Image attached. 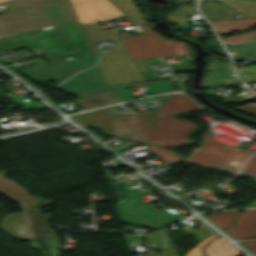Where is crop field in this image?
I'll return each instance as SVG.
<instances>
[{
	"label": "crop field",
	"instance_id": "crop-field-33",
	"mask_svg": "<svg viewBox=\"0 0 256 256\" xmlns=\"http://www.w3.org/2000/svg\"><path fill=\"white\" fill-rule=\"evenodd\" d=\"M174 73L182 71H193L192 65L172 67Z\"/></svg>",
	"mask_w": 256,
	"mask_h": 256
},
{
	"label": "crop field",
	"instance_id": "crop-field-1",
	"mask_svg": "<svg viewBox=\"0 0 256 256\" xmlns=\"http://www.w3.org/2000/svg\"><path fill=\"white\" fill-rule=\"evenodd\" d=\"M199 107L194 101L185 95L173 94L163 105L154 111L157 115L155 126L150 134L148 143L149 149L159 156L165 165L184 161L186 163L213 168L236 174L243 162L253 154V152L241 150L235 146H229L218 141L206 133L202 136V147L196 148L186 159L172 151L155 146H174L189 144L185 141V135L195 128V125L183 120L171 117L172 114H180L183 111H191L190 108Z\"/></svg>",
	"mask_w": 256,
	"mask_h": 256
},
{
	"label": "crop field",
	"instance_id": "crop-field-28",
	"mask_svg": "<svg viewBox=\"0 0 256 256\" xmlns=\"http://www.w3.org/2000/svg\"><path fill=\"white\" fill-rule=\"evenodd\" d=\"M233 109L256 116V102L255 103H247L245 105L237 106V107H234Z\"/></svg>",
	"mask_w": 256,
	"mask_h": 256
},
{
	"label": "crop field",
	"instance_id": "crop-field-8",
	"mask_svg": "<svg viewBox=\"0 0 256 256\" xmlns=\"http://www.w3.org/2000/svg\"><path fill=\"white\" fill-rule=\"evenodd\" d=\"M120 221L157 228L171 221L181 219L167 210L158 212L152 204L138 205L127 198H123L116 205Z\"/></svg>",
	"mask_w": 256,
	"mask_h": 256
},
{
	"label": "crop field",
	"instance_id": "crop-field-34",
	"mask_svg": "<svg viewBox=\"0 0 256 256\" xmlns=\"http://www.w3.org/2000/svg\"><path fill=\"white\" fill-rule=\"evenodd\" d=\"M207 25V23H203V24H196L193 25V27H197V26H205ZM175 31H180V30H188L190 29V27L188 25H182V26H176L174 27Z\"/></svg>",
	"mask_w": 256,
	"mask_h": 256
},
{
	"label": "crop field",
	"instance_id": "crop-field-11",
	"mask_svg": "<svg viewBox=\"0 0 256 256\" xmlns=\"http://www.w3.org/2000/svg\"><path fill=\"white\" fill-rule=\"evenodd\" d=\"M60 88L77 98L116 90V88L104 82L96 66L73 76L70 80L62 83Z\"/></svg>",
	"mask_w": 256,
	"mask_h": 256
},
{
	"label": "crop field",
	"instance_id": "crop-field-36",
	"mask_svg": "<svg viewBox=\"0 0 256 256\" xmlns=\"http://www.w3.org/2000/svg\"><path fill=\"white\" fill-rule=\"evenodd\" d=\"M208 47H218L220 44L218 43L217 39H210L206 41Z\"/></svg>",
	"mask_w": 256,
	"mask_h": 256
},
{
	"label": "crop field",
	"instance_id": "crop-field-14",
	"mask_svg": "<svg viewBox=\"0 0 256 256\" xmlns=\"http://www.w3.org/2000/svg\"><path fill=\"white\" fill-rule=\"evenodd\" d=\"M207 79L202 83V88H217L241 83L232 72L229 62L209 63Z\"/></svg>",
	"mask_w": 256,
	"mask_h": 256
},
{
	"label": "crop field",
	"instance_id": "crop-field-31",
	"mask_svg": "<svg viewBox=\"0 0 256 256\" xmlns=\"http://www.w3.org/2000/svg\"><path fill=\"white\" fill-rule=\"evenodd\" d=\"M246 83L256 81V73L239 75Z\"/></svg>",
	"mask_w": 256,
	"mask_h": 256
},
{
	"label": "crop field",
	"instance_id": "crop-field-13",
	"mask_svg": "<svg viewBox=\"0 0 256 256\" xmlns=\"http://www.w3.org/2000/svg\"><path fill=\"white\" fill-rule=\"evenodd\" d=\"M237 212L209 216L211 221L217 224L222 229L232 225L231 218L236 215ZM236 225L226 229L236 240L256 238V209L246 210L238 217L234 218Z\"/></svg>",
	"mask_w": 256,
	"mask_h": 256
},
{
	"label": "crop field",
	"instance_id": "crop-field-17",
	"mask_svg": "<svg viewBox=\"0 0 256 256\" xmlns=\"http://www.w3.org/2000/svg\"><path fill=\"white\" fill-rule=\"evenodd\" d=\"M200 8L210 21L231 20L235 15L234 9L218 2L200 1Z\"/></svg>",
	"mask_w": 256,
	"mask_h": 256
},
{
	"label": "crop field",
	"instance_id": "crop-field-4",
	"mask_svg": "<svg viewBox=\"0 0 256 256\" xmlns=\"http://www.w3.org/2000/svg\"><path fill=\"white\" fill-rule=\"evenodd\" d=\"M5 173L0 170V193L10 197L17 203H21L24 213L7 214L1 220L2 230L19 240L37 239L30 227L32 222L26 211L40 198L28 195L25 188L3 178ZM53 202L43 199L28 211L35 222V225L32 226L39 239L57 237L56 233L49 228L48 222L52 214H41L38 210L39 207L51 205Z\"/></svg>",
	"mask_w": 256,
	"mask_h": 256
},
{
	"label": "crop field",
	"instance_id": "crop-field-5",
	"mask_svg": "<svg viewBox=\"0 0 256 256\" xmlns=\"http://www.w3.org/2000/svg\"><path fill=\"white\" fill-rule=\"evenodd\" d=\"M85 127L100 128L105 134L146 144L155 122L154 111L114 119L106 108L73 115Z\"/></svg>",
	"mask_w": 256,
	"mask_h": 256
},
{
	"label": "crop field",
	"instance_id": "crop-field-6",
	"mask_svg": "<svg viewBox=\"0 0 256 256\" xmlns=\"http://www.w3.org/2000/svg\"><path fill=\"white\" fill-rule=\"evenodd\" d=\"M141 27L146 34L121 36L131 60L191 54L187 44L175 40L165 41L146 25Z\"/></svg>",
	"mask_w": 256,
	"mask_h": 256
},
{
	"label": "crop field",
	"instance_id": "crop-field-25",
	"mask_svg": "<svg viewBox=\"0 0 256 256\" xmlns=\"http://www.w3.org/2000/svg\"><path fill=\"white\" fill-rule=\"evenodd\" d=\"M124 236L126 239L129 252L139 253L137 250H135V246L142 245L143 235L134 234V235H124Z\"/></svg>",
	"mask_w": 256,
	"mask_h": 256
},
{
	"label": "crop field",
	"instance_id": "crop-field-37",
	"mask_svg": "<svg viewBox=\"0 0 256 256\" xmlns=\"http://www.w3.org/2000/svg\"><path fill=\"white\" fill-rule=\"evenodd\" d=\"M214 50V52H217V53H220V54H222V55H225V56H227L226 54H225V52L222 50V48H215V49H213Z\"/></svg>",
	"mask_w": 256,
	"mask_h": 256
},
{
	"label": "crop field",
	"instance_id": "crop-field-30",
	"mask_svg": "<svg viewBox=\"0 0 256 256\" xmlns=\"http://www.w3.org/2000/svg\"><path fill=\"white\" fill-rule=\"evenodd\" d=\"M192 15H184V16H176V17H168V18H165V20L168 22V23H171V24H177V25H182V24H187L185 18L186 17H192Z\"/></svg>",
	"mask_w": 256,
	"mask_h": 256
},
{
	"label": "crop field",
	"instance_id": "crop-field-22",
	"mask_svg": "<svg viewBox=\"0 0 256 256\" xmlns=\"http://www.w3.org/2000/svg\"><path fill=\"white\" fill-rule=\"evenodd\" d=\"M40 242L42 243L47 256H60L58 250L61 245L57 238L43 239L40 240ZM29 243L31 248L39 250L41 254L45 256L37 240L29 241Z\"/></svg>",
	"mask_w": 256,
	"mask_h": 256
},
{
	"label": "crop field",
	"instance_id": "crop-field-10",
	"mask_svg": "<svg viewBox=\"0 0 256 256\" xmlns=\"http://www.w3.org/2000/svg\"><path fill=\"white\" fill-rule=\"evenodd\" d=\"M95 64L93 55H87L72 60L49 64L46 66L21 71L37 83H44L55 79L58 83L66 79L74 72Z\"/></svg>",
	"mask_w": 256,
	"mask_h": 256
},
{
	"label": "crop field",
	"instance_id": "crop-field-20",
	"mask_svg": "<svg viewBox=\"0 0 256 256\" xmlns=\"http://www.w3.org/2000/svg\"><path fill=\"white\" fill-rule=\"evenodd\" d=\"M240 13L242 18L256 17V0H218Z\"/></svg>",
	"mask_w": 256,
	"mask_h": 256
},
{
	"label": "crop field",
	"instance_id": "crop-field-2",
	"mask_svg": "<svg viewBox=\"0 0 256 256\" xmlns=\"http://www.w3.org/2000/svg\"><path fill=\"white\" fill-rule=\"evenodd\" d=\"M21 47L39 48L54 63L92 53L78 21L0 39L1 49Z\"/></svg>",
	"mask_w": 256,
	"mask_h": 256
},
{
	"label": "crop field",
	"instance_id": "crop-field-35",
	"mask_svg": "<svg viewBox=\"0 0 256 256\" xmlns=\"http://www.w3.org/2000/svg\"><path fill=\"white\" fill-rule=\"evenodd\" d=\"M234 61H248V60H256V56H248V57H233Z\"/></svg>",
	"mask_w": 256,
	"mask_h": 256
},
{
	"label": "crop field",
	"instance_id": "crop-field-9",
	"mask_svg": "<svg viewBox=\"0 0 256 256\" xmlns=\"http://www.w3.org/2000/svg\"><path fill=\"white\" fill-rule=\"evenodd\" d=\"M141 85H144L148 89V91L151 93V95L173 91L172 79L146 82V83L113 85L117 87L119 90L73 100V102L83 110L100 107L104 105H109L113 103L123 102V101L133 99V97H131L124 88L141 86Z\"/></svg>",
	"mask_w": 256,
	"mask_h": 256
},
{
	"label": "crop field",
	"instance_id": "crop-field-3",
	"mask_svg": "<svg viewBox=\"0 0 256 256\" xmlns=\"http://www.w3.org/2000/svg\"><path fill=\"white\" fill-rule=\"evenodd\" d=\"M0 15V38L76 21L69 0H13Z\"/></svg>",
	"mask_w": 256,
	"mask_h": 256
},
{
	"label": "crop field",
	"instance_id": "crop-field-29",
	"mask_svg": "<svg viewBox=\"0 0 256 256\" xmlns=\"http://www.w3.org/2000/svg\"><path fill=\"white\" fill-rule=\"evenodd\" d=\"M196 13L192 5H182L180 8L164 17Z\"/></svg>",
	"mask_w": 256,
	"mask_h": 256
},
{
	"label": "crop field",
	"instance_id": "crop-field-32",
	"mask_svg": "<svg viewBox=\"0 0 256 256\" xmlns=\"http://www.w3.org/2000/svg\"><path fill=\"white\" fill-rule=\"evenodd\" d=\"M243 243L247 248H249L256 255V240L244 241Z\"/></svg>",
	"mask_w": 256,
	"mask_h": 256
},
{
	"label": "crop field",
	"instance_id": "crop-field-26",
	"mask_svg": "<svg viewBox=\"0 0 256 256\" xmlns=\"http://www.w3.org/2000/svg\"><path fill=\"white\" fill-rule=\"evenodd\" d=\"M243 93L241 95H237V96H231V97H224V98H221V100L226 103V104H229L231 102H235V101H239L243 98H246V99H250V98H256L252 93H250L246 87H243L241 88Z\"/></svg>",
	"mask_w": 256,
	"mask_h": 256
},
{
	"label": "crop field",
	"instance_id": "crop-field-18",
	"mask_svg": "<svg viewBox=\"0 0 256 256\" xmlns=\"http://www.w3.org/2000/svg\"><path fill=\"white\" fill-rule=\"evenodd\" d=\"M81 27L86 35V38L92 48L93 54L96 59L98 58V55H97L92 43H94L96 41H101V40L115 39L116 35L120 32V27L102 31L96 25V23L84 24V25H81Z\"/></svg>",
	"mask_w": 256,
	"mask_h": 256
},
{
	"label": "crop field",
	"instance_id": "crop-field-23",
	"mask_svg": "<svg viewBox=\"0 0 256 256\" xmlns=\"http://www.w3.org/2000/svg\"><path fill=\"white\" fill-rule=\"evenodd\" d=\"M225 45H236L256 42V31H250L247 33L222 38Z\"/></svg>",
	"mask_w": 256,
	"mask_h": 256
},
{
	"label": "crop field",
	"instance_id": "crop-field-19",
	"mask_svg": "<svg viewBox=\"0 0 256 256\" xmlns=\"http://www.w3.org/2000/svg\"><path fill=\"white\" fill-rule=\"evenodd\" d=\"M218 34L242 30L256 25V18L211 22Z\"/></svg>",
	"mask_w": 256,
	"mask_h": 256
},
{
	"label": "crop field",
	"instance_id": "crop-field-15",
	"mask_svg": "<svg viewBox=\"0 0 256 256\" xmlns=\"http://www.w3.org/2000/svg\"><path fill=\"white\" fill-rule=\"evenodd\" d=\"M217 233V232H216ZM219 235L218 233L207 238L206 240L196 244L197 247L193 248L185 256H203L200 248L206 244L210 239ZM206 256H240L239 251L230 242H228L221 235L216 237L210 244L203 248Z\"/></svg>",
	"mask_w": 256,
	"mask_h": 256
},
{
	"label": "crop field",
	"instance_id": "crop-field-21",
	"mask_svg": "<svg viewBox=\"0 0 256 256\" xmlns=\"http://www.w3.org/2000/svg\"><path fill=\"white\" fill-rule=\"evenodd\" d=\"M109 1L113 3L119 10H121L126 15L123 21L127 20L131 24L141 22L140 20V18H142L141 14L133 4L135 0H109Z\"/></svg>",
	"mask_w": 256,
	"mask_h": 256
},
{
	"label": "crop field",
	"instance_id": "crop-field-24",
	"mask_svg": "<svg viewBox=\"0 0 256 256\" xmlns=\"http://www.w3.org/2000/svg\"><path fill=\"white\" fill-rule=\"evenodd\" d=\"M227 49L232 56L256 55V43L247 45L228 46Z\"/></svg>",
	"mask_w": 256,
	"mask_h": 256
},
{
	"label": "crop field",
	"instance_id": "crop-field-38",
	"mask_svg": "<svg viewBox=\"0 0 256 256\" xmlns=\"http://www.w3.org/2000/svg\"><path fill=\"white\" fill-rule=\"evenodd\" d=\"M180 3H183V2H188V1H193V0H178Z\"/></svg>",
	"mask_w": 256,
	"mask_h": 256
},
{
	"label": "crop field",
	"instance_id": "crop-field-7",
	"mask_svg": "<svg viewBox=\"0 0 256 256\" xmlns=\"http://www.w3.org/2000/svg\"><path fill=\"white\" fill-rule=\"evenodd\" d=\"M105 82L119 84L144 81L148 72L143 60L131 61L120 39L104 54L97 65Z\"/></svg>",
	"mask_w": 256,
	"mask_h": 256
},
{
	"label": "crop field",
	"instance_id": "crop-field-12",
	"mask_svg": "<svg viewBox=\"0 0 256 256\" xmlns=\"http://www.w3.org/2000/svg\"><path fill=\"white\" fill-rule=\"evenodd\" d=\"M9 0H0V3ZM80 24L124 15L108 0H70Z\"/></svg>",
	"mask_w": 256,
	"mask_h": 256
},
{
	"label": "crop field",
	"instance_id": "crop-field-27",
	"mask_svg": "<svg viewBox=\"0 0 256 256\" xmlns=\"http://www.w3.org/2000/svg\"><path fill=\"white\" fill-rule=\"evenodd\" d=\"M242 172L254 177L256 180V155L248 160Z\"/></svg>",
	"mask_w": 256,
	"mask_h": 256
},
{
	"label": "crop field",
	"instance_id": "crop-field-16",
	"mask_svg": "<svg viewBox=\"0 0 256 256\" xmlns=\"http://www.w3.org/2000/svg\"><path fill=\"white\" fill-rule=\"evenodd\" d=\"M146 247L159 249L161 254L156 256H178L167 227L148 234Z\"/></svg>",
	"mask_w": 256,
	"mask_h": 256
}]
</instances>
